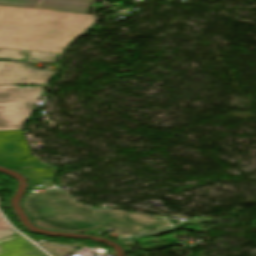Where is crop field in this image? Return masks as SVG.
<instances>
[{"mask_svg":"<svg viewBox=\"0 0 256 256\" xmlns=\"http://www.w3.org/2000/svg\"><path fill=\"white\" fill-rule=\"evenodd\" d=\"M22 206L34 225L42 229L79 232L99 226L127 235L169 225L161 217L123 210L91 211L60 192L28 194Z\"/></svg>","mask_w":256,"mask_h":256,"instance_id":"obj_1","label":"crop field"},{"mask_svg":"<svg viewBox=\"0 0 256 256\" xmlns=\"http://www.w3.org/2000/svg\"><path fill=\"white\" fill-rule=\"evenodd\" d=\"M93 23L90 14L0 6V48L62 53Z\"/></svg>","mask_w":256,"mask_h":256,"instance_id":"obj_2","label":"crop field"},{"mask_svg":"<svg viewBox=\"0 0 256 256\" xmlns=\"http://www.w3.org/2000/svg\"><path fill=\"white\" fill-rule=\"evenodd\" d=\"M40 92L41 88L0 85V130L22 129Z\"/></svg>","mask_w":256,"mask_h":256,"instance_id":"obj_3","label":"crop field"},{"mask_svg":"<svg viewBox=\"0 0 256 256\" xmlns=\"http://www.w3.org/2000/svg\"><path fill=\"white\" fill-rule=\"evenodd\" d=\"M0 165L46 168L40 160L31 156L22 130L0 131Z\"/></svg>","mask_w":256,"mask_h":256,"instance_id":"obj_4","label":"crop field"},{"mask_svg":"<svg viewBox=\"0 0 256 256\" xmlns=\"http://www.w3.org/2000/svg\"><path fill=\"white\" fill-rule=\"evenodd\" d=\"M53 74L20 63L0 62V84H45Z\"/></svg>","mask_w":256,"mask_h":256,"instance_id":"obj_5","label":"crop field"},{"mask_svg":"<svg viewBox=\"0 0 256 256\" xmlns=\"http://www.w3.org/2000/svg\"><path fill=\"white\" fill-rule=\"evenodd\" d=\"M0 5L87 13L91 0H0Z\"/></svg>","mask_w":256,"mask_h":256,"instance_id":"obj_6","label":"crop field"},{"mask_svg":"<svg viewBox=\"0 0 256 256\" xmlns=\"http://www.w3.org/2000/svg\"><path fill=\"white\" fill-rule=\"evenodd\" d=\"M0 256H47L17 234L0 239Z\"/></svg>","mask_w":256,"mask_h":256,"instance_id":"obj_7","label":"crop field"},{"mask_svg":"<svg viewBox=\"0 0 256 256\" xmlns=\"http://www.w3.org/2000/svg\"><path fill=\"white\" fill-rule=\"evenodd\" d=\"M59 54L54 53H43V52H32L27 51V63H42V62H32L30 59L44 60V62H56Z\"/></svg>","mask_w":256,"mask_h":256,"instance_id":"obj_8","label":"crop field"},{"mask_svg":"<svg viewBox=\"0 0 256 256\" xmlns=\"http://www.w3.org/2000/svg\"><path fill=\"white\" fill-rule=\"evenodd\" d=\"M18 171L29 176L30 179L53 177L54 173L51 169H19Z\"/></svg>","mask_w":256,"mask_h":256,"instance_id":"obj_9","label":"crop field"},{"mask_svg":"<svg viewBox=\"0 0 256 256\" xmlns=\"http://www.w3.org/2000/svg\"><path fill=\"white\" fill-rule=\"evenodd\" d=\"M0 57L7 59H23L24 51L0 49Z\"/></svg>","mask_w":256,"mask_h":256,"instance_id":"obj_10","label":"crop field"},{"mask_svg":"<svg viewBox=\"0 0 256 256\" xmlns=\"http://www.w3.org/2000/svg\"><path fill=\"white\" fill-rule=\"evenodd\" d=\"M12 234H15V232L12 229L1 230L0 231V238L6 237V236H9V235H12Z\"/></svg>","mask_w":256,"mask_h":256,"instance_id":"obj_11","label":"crop field"},{"mask_svg":"<svg viewBox=\"0 0 256 256\" xmlns=\"http://www.w3.org/2000/svg\"><path fill=\"white\" fill-rule=\"evenodd\" d=\"M10 228L4 221H0V229H8Z\"/></svg>","mask_w":256,"mask_h":256,"instance_id":"obj_12","label":"crop field"},{"mask_svg":"<svg viewBox=\"0 0 256 256\" xmlns=\"http://www.w3.org/2000/svg\"><path fill=\"white\" fill-rule=\"evenodd\" d=\"M0 219H2L1 216H0Z\"/></svg>","mask_w":256,"mask_h":256,"instance_id":"obj_13","label":"crop field"}]
</instances>
